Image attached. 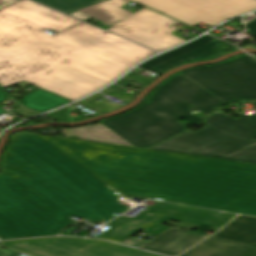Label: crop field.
Wrapping results in <instances>:
<instances>
[{"instance_id":"8a807250","label":"crop field","mask_w":256,"mask_h":256,"mask_svg":"<svg viewBox=\"0 0 256 256\" xmlns=\"http://www.w3.org/2000/svg\"><path fill=\"white\" fill-rule=\"evenodd\" d=\"M1 239L109 221L118 193L256 216V164L20 133L1 158ZM73 224V223H72Z\"/></svg>"},{"instance_id":"ac0d7876","label":"crop field","mask_w":256,"mask_h":256,"mask_svg":"<svg viewBox=\"0 0 256 256\" xmlns=\"http://www.w3.org/2000/svg\"><path fill=\"white\" fill-rule=\"evenodd\" d=\"M30 0L0 10V85L25 81L72 101L155 54Z\"/></svg>"},{"instance_id":"34b2d1b8","label":"crop field","mask_w":256,"mask_h":256,"mask_svg":"<svg viewBox=\"0 0 256 256\" xmlns=\"http://www.w3.org/2000/svg\"><path fill=\"white\" fill-rule=\"evenodd\" d=\"M191 105L216 111L224 103L177 73L151 93L148 104L100 122L132 145L149 147L186 130L179 119L201 125L203 119L188 112Z\"/></svg>"},{"instance_id":"412701ff","label":"crop field","mask_w":256,"mask_h":256,"mask_svg":"<svg viewBox=\"0 0 256 256\" xmlns=\"http://www.w3.org/2000/svg\"><path fill=\"white\" fill-rule=\"evenodd\" d=\"M242 115L232 119L214 113L204 121L208 127L172 137L151 149L256 163V115Z\"/></svg>"},{"instance_id":"f4fd0767","label":"crop field","mask_w":256,"mask_h":256,"mask_svg":"<svg viewBox=\"0 0 256 256\" xmlns=\"http://www.w3.org/2000/svg\"><path fill=\"white\" fill-rule=\"evenodd\" d=\"M67 13L107 0H35ZM191 26L202 21L212 26L256 9L255 0H132Z\"/></svg>"},{"instance_id":"dd49c442","label":"crop field","mask_w":256,"mask_h":256,"mask_svg":"<svg viewBox=\"0 0 256 256\" xmlns=\"http://www.w3.org/2000/svg\"><path fill=\"white\" fill-rule=\"evenodd\" d=\"M235 215L159 203L145 210L134 219L119 217L107 223L106 225L111 226V228L96 237L120 243L143 229L154 236L169 228V226H161L162 223L168 220L220 228ZM153 222L156 224H152Z\"/></svg>"},{"instance_id":"e52e79f7","label":"crop field","mask_w":256,"mask_h":256,"mask_svg":"<svg viewBox=\"0 0 256 256\" xmlns=\"http://www.w3.org/2000/svg\"><path fill=\"white\" fill-rule=\"evenodd\" d=\"M180 73L226 104L243 98L248 102L256 100V61L247 55Z\"/></svg>"},{"instance_id":"d8731c3e","label":"crop field","mask_w":256,"mask_h":256,"mask_svg":"<svg viewBox=\"0 0 256 256\" xmlns=\"http://www.w3.org/2000/svg\"><path fill=\"white\" fill-rule=\"evenodd\" d=\"M0 244L33 256H157L104 241L66 237L15 240Z\"/></svg>"},{"instance_id":"5a996713","label":"crop field","mask_w":256,"mask_h":256,"mask_svg":"<svg viewBox=\"0 0 256 256\" xmlns=\"http://www.w3.org/2000/svg\"><path fill=\"white\" fill-rule=\"evenodd\" d=\"M176 23L144 8L108 30L161 52L185 41L170 34L177 29Z\"/></svg>"},{"instance_id":"3316defc","label":"crop field","mask_w":256,"mask_h":256,"mask_svg":"<svg viewBox=\"0 0 256 256\" xmlns=\"http://www.w3.org/2000/svg\"><path fill=\"white\" fill-rule=\"evenodd\" d=\"M216 50V39L206 35L175 50L152 58L142 63L139 67L159 73L188 61L207 57L216 52Z\"/></svg>"},{"instance_id":"28ad6ade","label":"crop field","mask_w":256,"mask_h":256,"mask_svg":"<svg viewBox=\"0 0 256 256\" xmlns=\"http://www.w3.org/2000/svg\"><path fill=\"white\" fill-rule=\"evenodd\" d=\"M206 237L207 235L171 227L139 248L177 256Z\"/></svg>"},{"instance_id":"d1516ede","label":"crop field","mask_w":256,"mask_h":256,"mask_svg":"<svg viewBox=\"0 0 256 256\" xmlns=\"http://www.w3.org/2000/svg\"><path fill=\"white\" fill-rule=\"evenodd\" d=\"M214 237L251 245L235 256H256V218L237 216Z\"/></svg>"},{"instance_id":"22f410ed","label":"crop field","mask_w":256,"mask_h":256,"mask_svg":"<svg viewBox=\"0 0 256 256\" xmlns=\"http://www.w3.org/2000/svg\"><path fill=\"white\" fill-rule=\"evenodd\" d=\"M248 245L211 237L181 256H233Z\"/></svg>"},{"instance_id":"cbeb9de0","label":"crop field","mask_w":256,"mask_h":256,"mask_svg":"<svg viewBox=\"0 0 256 256\" xmlns=\"http://www.w3.org/2000/svg\"><path fill=\"white\" fill-rule=\"evenodd\" d=\"M128 2L127 0H110L78 11L113 26L115 23L132 14L119 8Z\"/></svg>"},{"instance_id":"5142ce71","label":"crop field","mask_w":256,"mask_h":256,"mask_svg":"<svg viewBox=\"0 0 256 256\" xmlns=\"http://www.w3.org/2000/svg\"><path fill=\"white\" fill-rule=\"evenodd\" d=\"M22 104L38 113L48 111L71 101L53 95L40 88L34 90L21 100Z\"/></svg>"},{"instance_id":"d9b57169","label":"crop field","mask_w":256,"mask_h":256,"mask_svg":"<svg viewBox=\"0 0 256 256\" xmlns=\"http://www.w3.org/2000/svg\"><path fill=\"white\" fill-rule=\"evenodd\" d=\"M69 131L78 136L80 139L84 140L131 145L122 138H120L118 135L107 129L101 123L86 127L74 128L70 129Z\"/></svg>"},{"instance_id":"733c2abd","label":"crop field","mask_w":256,"mask_h":256,"mask_svg":"<svg viewBox=\"0 0 256 256\" xmlns=\"http://www.w3.org/2000/svg\"><path fill=\"white\" fill-rule=\"evenodd\" d=\"M76 108L70 106L62 111H58L55 113H51L47 116L57 120V121H74V120H78L77 118L69 115L71 112H73Z\"/></svg>"},{"instance_id":"4a817a6b","label":"crop field","mask_w":256,"mask_h":256,"mask_svg":"<svg viewBox=\"0 0 256 256\" xmlns=\"http://www.w3.org/2000/svg\"><path fill=\"white\" fill-rule=\"evenodd\" d=\"M125 77L134 79L136 81H139V82H142V83H145V84H149L150 82H152V80H149V79H146V78H143V77L131 74V73L127 74Z\"/></svg>"},{"instance_id":"bc2a9ffb","label":"crop field","mask_w":256,"mask_h":256,"mask_svg":"<svg viewBox=\"0 0 256 256\" xmlns=\"http://www.w3.org/2000/svg\"><path fill=\"white\" fill-rule=\"evenodd\" d=\"M118 82L123 83V84H126V85H128V86L133 85V84H131L132 82H135V83L140 84V85H139L140 87L145 86V84L136 82V81H134V80H131V79H128V78H125V77L121 78Z\"/></svg>"},{"instance_id":"214f88e0","label":"crop field","mask_w":256,"mask_h":256,"mask_svg":"<svg viewBox=\"0 0 256 256\" xmlns=\"http://www.w3.org/2000/svg\"><path fill=\"white\" fill-rule=\"evenodd\" d=\"M255 14H256V12H255ZM246 28L249 32L256 35V20L246 24Z\"/></svg>"},{"instance_id":"92a150f3","label":"crop field","mask_w":256,"mask_h":256,"mask_svg":"<svg viewBox=\"0 0 256 256\" xmlns=\"http://www.w3.org/2000/svg\"><path fill=\"white\" fill-rule=\"evenodd\" d=\"M20 253L17 252H8L0 248V256H18Z\"/></svg>"},{"instance_id":"dafd665d","label":"crop field","mask_w":256,"mask_h":256,"mask_svg":"<svg viewBox=\"0 0 256 256\" xmlns=\"http://www.w3.org/2000/svg\"><path fill=\"white\" fill-rule=\"evenodd\" d=\"M7 98H9L1 89H0V103L3 102L4 100H6ZM6 112L5 110L0 108V114Z\"/></svg>"},{"instance_id":"00972430","label":"crop field","mask_w":256,"mask_h":256,"mask_svg":"<svg viewBox=\"0 0 256 256\" xmlns=\"http://www.w3.org/2000/svg\"><path fill=\"white\" fill-rule=\"evenodd\" d=\"M17 0H0V9L15 2Z\"/></svg>"},{"instance_id":"a9b5d70f","label":"crop field","mask_w":256,"mask_h":256,"mask_svg":"<svg viewBox=\"0 0 256 256\" xmlns=\"http://www.w3.org/2000/svg\"><path fill=\"white\" fill-rule=\"evenodd\" d=\"M109 89L116 90V91H119V92L125 90V89H123V88H121V87H119V86H117V85H115V84L111 85V86L109 87Z\"/></svg>"},{"instance_id":"4177f3b9","label":"crop field","mask_w":256,"mask_h":256,"mask_svg":"<svg viewBox=\"0 0 256 256\" xmlns=\"http://www.w3.org/2000/svg\"><path fill=\"white\" fill-rule=\"evenodd\" d=\"M115 84H118V85H122V86L128 87V86H126V85H123V84H120V83H118V82H116Z\"/></svg>"},{"instance_id":"730fd06b","label":"crop field","mask_w":256,"mask_h":256,"mask_svg":"<svg viewBox=\"0 0 256 256\" xmlns=\"http://www.w3.org/2000/svg\"><path fill=\"white\" fill-rule=\"evenodd\" d=\"M256 106V103H253Z\"/></svg>"}]
</instances>
